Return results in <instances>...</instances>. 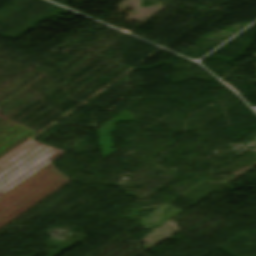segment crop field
I'll list each match as a JSON object with an SVG mask.
<instances>
[{
  "label": "crop field",
  "mask_w": 256,
  "mask_h": 256,
  "mask_svg": "<svg viewBox=\"0 0 256 256\" xmlns=\"http://www.w3.org/2000/svg\"><path fill=\"white\" fill-rule=\"evenodd\" d=\"M68 181L66 176L57 172L50 164L19 186L17 185L18 187L0 198V228Z\"/></svg>",
  "instance_id": "1"
},
{
  "label": "crop field",
  "mask_w": 256,
  "mask_h": 256,
  "mask_svg": "<svg viewBox=\"0 0 256 256\" xmlns=\"http://www.w3.org/2000/svg\"><path fill=\"white\" fill-rule=\"evenodd\" d=\"M38 132L8 118L0 122V159Z\"/></svg>",
  "instance_id": "3"
},
{
  "label": "crop field",
  "mask_w": 256,
  "mask_h": 256,
  "mask_svg": "<svg viewBox=\"0 0 256 256\" xmlns=\"http://www.w3.org/2000/svg\"><path fill=\"white\" fill-rule=\"evenodd\" d=\"M25 144H29V145H32V146H35V147H39V148L45 149V150H47L49 152H52V153H54L56 155H59V156L62 155L63 153H65V152H63L61 150L53 149L51 147L44 146L42 144L36 143L34 141H31V140L27 141Z\"/></svg>",
  "instance_id": "4"
},
{
  "label": "crop field",
  "mask_w": 256,
  "mask_h": 256,
  "mask_svg": "<svg viewBox=\"0 0 256 256\" xmlns=\"http://www.w3.org/2000/svg\"><path fill=\"white\" fill-rule=\"evenodd\" d=\"M59 156V155H58ZM58 156L21 145L0 160V197L50 164Z\"/></svg>",
  "instance_id": "2"
}]
</instances>
